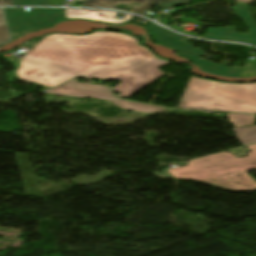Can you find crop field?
<instances>
[{
  "instance_id": "obj_17",
  "label": "crop field",
  "mask_w": 256,
  "mask_h": 256,
  "mask_svg": "<svg viewBox=\"0 0 256 256\" xmlns=\"http://www.w3.org/2000/svg\"><path fill=\"white\" fill-rule=\"evenodd\" d=\"M118 2L133 3V2H135V1H133V0H117V2H116V3H118Z\"/></svg>"
},
{
  "instance_id": "obj_4",
  "label": "crop field",
  "mask_w": 256,
  "mask_h": 256,
  "mask_svg": "<svg viewBox=\"0 0 256 256\" xmlns=\"http://www.w3.org/2000/svg\"><path fill=\"white\" fill-rule=\"evenodd\" d=\"M5 13L13 39L65 19L64 9L30 8V12H21L8 8Z\"/></svg>"
},
{
  "instance_id": "obj_14",
  "label": "crop field",
  "mask_w": 256,
  "mask_h": 256,
  "mask_svg": "<svg viewBox=\"0 0 256 256\" xmlns=\"http://www.w3.org/2000/svg\"><path fill=\"white\" fill-rule=\"evenodd\" d=\"M14 5H49V0H13Z\"/></svg>"
},
{
  "instance_id": "obj_12",
  "label": "crop field",
  "mask_w": 256,
  "mask_h": 256,
  "mask_svg": "<svg viewBox=\"0 0 256 256\" xmlns=\"http://www.w3.org/2000/svg\"><path fill=\"white\" fill-rule=\"evenodd\" d=\"M256 75V60L246 62L240 77H250Z\"/></svg>"
},
{
  "instance_id": "obj_16",
  "label": "crop field",
  "mask_w": 256,
  "mask_h": 256,
  "mask_svg": "<svg viewBox=\"0 0 256 256\" xmlns=\"http://www.w3.org/2000/svg\"><path fill=\"white\" fill-rule=\"evenodd\" d=\"M0 5H13L12 0H0Z\"/></svg>"
},
{
  "instance_id": "obj_9",
  "label": "crop field",
  "mask_w": 256,
  "mask_h": 256,
  "mask_svg": "<svg viewBox=\"0 0 256 256\" xmlns=\"http://www.w3.org/2000/svg\"><path fill=\"white\" fill-rule=\"evenodd\" d=\"M141 1H145V4L141 8L131 10V12L142 15L147 8L152 6V4L157 2H162V1H168V0H141ZM115 2L116 0H88L87 2H83L82 6L114 8Z\"/></svg>"
},
{
  "instance_id": "obj_5",
  "label": "crop field",
  "mask_w": 256,
  "mask_h": 256,
  "mask_svg": "<svg viewBox=\"0 0 256 256\" xmlns=\"http://www.w3.org/2000/svg\"><path fill=\"white\" fill-rule=\"evenodd\" d=\"M150 22L145 27L152 30L153 37L156 42L174 48L179 55L189 56L192 62L199 65L203 70L219 75L233 77L239 76L242 68H227L220 64H214L202 60L198 57L202 56L203 52L199 49H194L190 45H187L180 41L179 39L181 38V35L172 33Z\"/></svg>"
},
{
  "instance_id": "obj_2",
  "label": "crop field",
  "mask_w": 256,
  "mask_h": 256,
  "mask_svg": "<svg viewBox=\"0 0 256 256\" xmlns=\"http://www.w3.org/2000/svg\"><path fill=\"white\" fill-rule=\"evenodd\" d=\"M248 148L252 152L246 158H236L225 152L199 158L189 162L188 166L168 171L175 178L191 179L227 190L252 191L256 189V181L246 172L256 169V145Z\"/></svg>"
},
{
  "instance_id": "obj_18",
  "label": "crop field",
  "mask_w": 256,
  "mask_h": 256,
  "mask_svg": "<svg viewBox=\"0 0 256 256\" xmlns=\"http://www.w3.org/2000/svg\"><path fill=\"white\" fill-rule=\"evenodd\" d=\"M238 1L248 3V2L253 1V0H238Z\"/></svg>"
},
{
  "instance_id": "obj_3",
  "label": "crop field",
  "mask_w": 256,
  "mask_h": 256,
  "mask_svg": "<svg viewBox=\"0 0 256 256\" xmlns=\"http://www.w3.org/2000/svg\"><path fill=\"white\" fill-rule=\"evenodd\" d=\"M178 108L256 113V84H231L192 76Z\"/></svg>"
},
{
  "instance_id": "obj_11",
  "label": "crop field",
  "mask_w": 256,
  "mask_h": 256,
  "mask_svg": "<svg viewBox=\"0 0 256 256\" xmlns=\"http://www.w3.org/2000/svg\"><path fill=\"white\" fill-rule=\"evenodd\" d=\"M230 124L235 127L247 126L254 124L255 115L227 114Z\"/></svg>"
},
{
  "instance_id": "obj_10",
  "label": "crop field",
  "mask_w": 256,
  "mask_h": 256,
  "mask_svg": "<svg viewBox=\"0 0 256 256\" xmlns=\"http://www.w3.org/2000/svg\"><path fill=\"white\" fill-rule=\"evenodd\" d=\"M233 130L243 145L256 142V126L234 128Z\"/></svg>"
},
{
  "instance_id": "obj_6",
  "label": "crop field",
  "mask_w": 256,
  "mask_h": 256,
  "mask_svg": "<svg viewBox=\"0 0 256 256\" xmlns=\"http://www.w3.org/2000/svg\"><path fill=\"white\" fill-rule=\"evenodd\" d=\"M45 93H53L75 97H93L112 101L113 104L122 109L132 110L143 113L163 112V108L154 107L146 104L122 101L114 98L108 87L87 85L76 83V78L55 88L44 91Z\"/></svg>"
},
{
  "instance_id": "obj_7",
  "label": "crop field",
  "mask_w": 256,
  "mask_h": 256,
  "mask_svg": "<svg viewBox=\"0 0 256 256\" xmlns=\"http://www.w3.org/2000/svg\"><path fill=\"white\" fill-rule=\"evenodd\" d=\"M233 9L237 17L246 21L250 29L248 35H240L235 31L234 28H228V29L208 28V30L203 34V36L205 38L246 42V43L256 45V26L253 22V19L246 5L238 3Z\"/></svg>"
},
{
  "instance_id": "obj_8",
  "label": "crop field",
  "mask_w": 256,
  "mask_h": 256,
  "mask_svg": "<svg viewBox=\"0 0 256 256\" xmlns=\"http://www.w3.org/2000/svg\"><path fill=\"white\" fill-rule=\"evenodd\" d=\"M66 19H87V20H97L111 22L115 24H121L129 19L131 15L125 14L124 20H115L117 12L111 11H93V10H82V9H65Z\"/></svg>"
},
{
  "instance_id": "obj_15",
  "label": "crop field",
  "mask_w": 256,
  "mask_h": 256,
  "mask_svg": "<svg viewBox=\"0 0 256 256\" xmlns=\"http://www.w3.org/2000/svg\"><path fill=\"white\" fill-rule=\"evenodd\" d=\"M188 1L189 0H172V1H168V2L158 3V5L162 8H165V7H171V6L184 5V4L188 3Z\"/></svg>"
},
{
  "instance_id": "obj_1",
  "label": "crop field",
  "mask_w": 256,
  "mask_h": 256,
  "mask_svg": "<svg viewBox=\"0 0 256 256\" xmlns=\"http://www.w3.org/2000/svg\"><path fill=\"white\" fill-rule=\"evenodd\" d=\"M169 63L140 46L137 38L125 34H52L21 60L16 74L24 81L48 87L77 76L121 80L112 90L121 92L117 97L122 98L165 75L158 68Z\"/></svg>"
},
{
  "instance_id": "obj_13",
  "label": "crop field",
  "mask_w": 256,
  "mask_h": 256,
  "mask_svg": "<svg viewBox=\"0 0 256 256\" xmlns=\"http://www.w3.org/2000/svg\"><path fill=\"white\" fill-rule=\"evenodd\" d=\"M9 34H8V30L5 24V20L2 14V11L0 9V44L9 40Z\"/></svg>"
}]
</instances>
